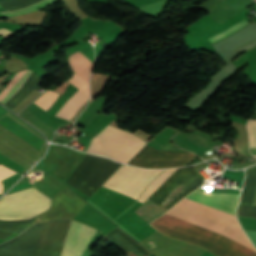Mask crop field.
<instances>
[{"mask_svg":"<svg viewBox=\"0 0 256 256\" xmlns=\"http://www.w3.org/2000/svg\"><path fill=\"white\" fill-rule=\"evenodd\" d=\"M166 214L219 233L253 251L236 216L184 198ZM164 214L151 225L166 235L199 245L218 256H256V253L206 229Z\"/></svg>","mask_w":256,"mask_h":256,"instance_id":"obj_1","label":"crop field"},{"mask_svg":"<svg viewBox=\"0 0 256 256\" xmlns=\"http://www.w3.org/2000/svg\"><path fill=\"white\" fill-rule=\"evenodd\" d=\"M117 129L108 125L92 138L87 152L109 156L128 163L146 142Z\"/></svg>","mask_w":256,"mask_h":256,"instance_id":"obj_2","label":"crop field"},{"mask_svg":"<svg viewBox=\"0 0 256 256\" xmlns=\"http://www.w3.org/2000/svg\"><path fill=\"white\" fill-rule=\"evenodd\" d=\"M120 166L121 164L109 159L87 154L76 170L103 185ZM78 171H75L66 182L91 197L102 185Z\"/></svg>","mask_w":256,"mask_h":256,"instance_id":"obj_3","label":"crop field"},{"mask_svg":"<svg viewBox=\"0 0 256 256\" xmlns=\"http://www.w3.org/2000/svg\"><path fill=\"white\" fill-rule=\"evenodd\" d=\"M49 199L36 188H28L0 198V219L30 218L49 207Z\"/></svg>","mask_w":256,"mask_h":256,"instance_id":"obj_4","label":"crop field"},{"mask_svg":"<svg viewBox=\"0 0 256 256\" xmlns=\"http://www.w3.org/2000/svg\"><path fill=\"white\" fill-rule=\"evenodd\" d=\"M203 182L193 166L180 168L150 198L167 210Z\"/></svg>","mask_w":256,"mask_h":256,"instance_id":"obj_5","label":"crop field"},{"mask_svg":"<svg viewBox=\"0 0 256 256\" xmlns=\"http://www.w3.org/2000/svg\"><path fill=\"white\" fill-rule=\"evenodd\" d=\"M161 171L163 170H142L122 165L103 187L117 190L137 199L149 182Z\"/></svg>","mask_w":256,"mask_h":256,"instance_id":"obj_6","label":"crop field"},{"mask_svg":"<svg viewBox=\"0 0 256 256\" xmlns=\"http://www.w3.org/2000/svg\"><path fill=\"white\" fill-rule=\"evenodd\" d=\"M70 221H45L34 256H60Z\"/></svg>","mask_w":256,"mask_h":256,"instance_id":"obj_7","label":"crop field"},{"mask_svg":"<svg viewBox=\"0 0 256 256\" xmlns=\"http://www.w3.org/2000/svg\"><path fill=\"white\" fill-rule=\"evenodd\" d=\"M68 61L73 72L88 82L93 63L90 62L80 51L69 55ZM88 99L89 97L79 90L67 101L57 116L70 120L80 106L85 104Z\"/></svg>","mask_w":256,"mask_h":256,"instance_id":"obj_8","label":"crop field"},{"mask_svg":"<svg viewBox=\"0 0 256 256\" xmlns=\"http://www.w3.org/2000/svg\"><path fill=\"white\" fill-rule=\"evenodd\" d=\"M195 155L192 153H169L146 145L130 162L140 167H173L184 165Z\"/></svg>","mask_w":256,"mask_h":256,"instance_id":"obj_9","label":"crop field"},{"mask_svg":"<svg viewBox=\"0 0 256 256\" xmlns=\"http://www.w3.org/2000/svg\"><path fill=\"white\" fill-rule=\"evenodd\" d=\"M42 223H37L19 236L0 244V256H33Z\"/></svg>","mask_w":256,"mask_h":256,"instance_id":"obj_10","label":"crop field"},{"mask_svg":"<svg viewBox=\"0 0 256 256\" xmlns=\"http://www.w3.org/2000/svg\"><path fill=\"white\" fill-rule=\"evenodd\" d=\"M96 229L72 221L61 256H82Z\"/></svg>","mask_w":256,"mask_h":256,"instance_id":"obj_11","label":"crop field"},{"mask_svg":"<svg viewBox=\"0 0 256 256\" xmlns=\"http://www.w3.org/2000/svg\"><path fill=\"white\" fill-rule=\"evenodd\" d=\"M86 203L70 191H62L52 201L50 210L42 215L43 220L67 218L72 219Z\"/></svg>","mask_w":256,"mask_h":256,"instance_id":"obj_12","label":"crop field"},{"mask_svg":"<svg viewBox=\"0 0 256 256\" xmlns=\"http://www.w3.org/2000/svg\"><path fill=\"white\" fill-rule=\"evenodd\" d=\"M238 195L239 194L205 193L198 189L186 198L235 214Z\"/></svg>","mask_w":256,"mask_h":256,"instance_id":"obj_13","label":"crop field"},{"mask_svg":"<svg viewBox=\"0 0 256 256\" xmlns=\"http://www.w3.org/2000/svg\"><path fill=\"white\" fill-rule=\"evenodd\" d=\"M114 245L122 250L128 256H147L149 255L129 238L123 235L117 229L105 235Z\"/></svg>","mask_w":256,"mask_h":256,"instance_id":"obj_14","label":"crop field"},{"mask_svg":"<svg viewBox=\"0 0 256 256\" xmlns=\"http://www.w3.org/2000/svg\"><path fill=\"white\" fill-rule=\"evenodd\" d=\"M39 221H41L39 217H35L28 221H20V222H2V221H0V230L19 234L23 230H25L27 227H29L30 225L35 224Z\"/></svg>","mask_w":256,"mask_h":256,"instance_id":"obj_15","label":"crop field"},{"mask_svg":"<svg viewBox=\"0 0 256 256\" xmlns=\"http://www.w3.org/2000/svg\"><path fill=\"white\" fill-rule=\"evenodd\" d=\"M175 169H167L159 175L152 183H150L145 190V192L140 196L138 201L145 202L148 197L176 170Z\"/></svg>","mask_w":256,"mask_h":256,"instance_id":"obj_16","label":"crop field"},{"mask_svg":"<svg viewBox=\"0 0 256 256\" xmlns=\"http://www.w3.org/2000/svg\"><path fill=\"white\" fill-rule=\"evenodd\" d=\"M57 0H43L33 6H30V7H27V8H24V9H21L19 11H15V12H2L0 14L6 16V17H9V16H14V15H21V14H25V13H29V12H33V11H37V10H40L44 7H46L47 5L55 2Z\"/></svg>","mask_w":256,"mask_h":256,"instance_id":"obj_17","label":"crop field"},{"mask_svg":"<svg viewBox=\"0 0 256 256\" xmlns=\"http://www.w3.org/2000/svg\"><path fill=\"white\" fill-rule=\"evenodd\" d=\"M58 93L47 90L42 96H40L34 103L39 105L44 110H47L58 97Z\"/></svg>","mask_w":256,"mask_h":256,"instance_id":"obj_18","label":"crop field"},{"mask_svg":"<svg viewBox=\"0 0 256 256\" xmlns=\"http://www.w3.org/2000/svg\"><path fill=\"white\" fill-rule=\"evenodd\" d=\"M247 24H249V23L244 19V20L238 22L237 24L231 26L230 28H228V29H226V30L208 38V39L210 40L211 43H213V42H215V41H217V40L235 32L237 30H239L240 28L244 27Z\"/></svg>","mask_w":256,"mask_h":256,"instance_id":"obj_19","label":"crop field"},{"mask_svg":"<svg viewBox=\"0 0 256 256\" xmlns=\"http://www.w3.org/2000/svg\"><path fill=\"white\" fill-rule=\"evenodd\" d=\"M30 74H31V71L28 70L24 74V76L15 84V86L5 95V97L0 102L5 104L15 94V92L22 86V84L28 79Z\"/></svg>","mask_w":256,"mask_h":256,"instance_id":"obj_20","label":"crop field"},{"mask_svg":"<svg viewBox=\"0 0 256 256\" xmlns=\"http://www.w3.org/2000/svg\"><path fill=\"white\" fill-rule=\"evenodd\" d=\"M247 126L250 133V148H256V120H249Z\"/></svg>","mask_w":256,"mask_h":256,"instance_id":"obj_21","label":"crop field"},{"mask_svg":"<svg viewBox=\"0 0 256 256\" xmlns=\"http://www.w3.org/2000/svg\"><path fill=\"white\" fill-rule=\"evenodd\" d=\"M24 72L25 71L17 72L15 77L8 83V85L5 88V90L0 94V100L9 91V89L16 83V81L23 75Z\"/></svg>","mask_w":256,"mask_h":256,"instance_id":"obj_22","label":"crop field"},{"mask_svg":"<svg viewBox=\"0 0 256 256\" xmlns=\"http://www.w3.org/2000/svg\"><path fill=\"white\" fill-rule=\"evenodd\" d=\"M16 173L15 171L0 164V180Z\"/></svg>","mask_w":256,"mask_h":256,"instance_id":"obj_23","label":"crop field"},{"mask_svg":"<svg viewBox=\"0 0 256 256\" xmlns=\"http://www.w3.org/2000/svg\"><path fill=\"white\" fill-rule=\"evenodd\" d=\"M13 34H14L13 32H11L7 29H4V28L0 29V36L3 37V38H6V37L11 36Z\"/></svg>","mask_w":256,"mask_h":256,"instance_id":"obj_24","label":"crop field"},{"mask_svg":"<svg viewBox=\"0 0 256 256\" xmlns=\"http://www.w3.org/2000/svg\"><path fill=\"white\" fill-rule=\"evenodd\" d=\"M250 152L252 153V154H256V149H250ZM255 157H256V155H254Z\"/></svg>","mask_w":256,"mask_h":256,"instance_id":"obj_25","label":"crop field"},{"mask_svg":"<svg viewBox=\"0 0 256 256\" xmlns=\"http://www.w3.org/2000/svg\"><path fill=\"white\" fill-rule=\"evenodd\" d=\"M253 205H256V194H255V199H254Z\"/></svg>","mask_w":256,"mask_h":256,"instance_id":"obj_26","label":"crop field"},{"mask_svg":"<svg viewBox=\"0 0 256 256\" xmlns=\"http://www.w3.org/2000/svg\"><path fill=\"white\" fill-rule=\"evenodd\" d=\"M1 7V6H0Z\"/></svg>","mask_w":256,"mask_h":256,"instance_id":"obj_27","label":"crop field"}]
</instances>
